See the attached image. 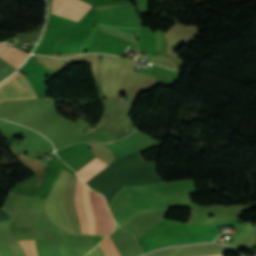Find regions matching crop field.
I'll use <instances>...</instances> for the list:
<instances>
[{
	"instance_id": "obj_1",
	"label": "crop field",
	"mask_w": 256,
	"mask_h": 256,
	"mask_svg": "<svg viewBox=\"0 0 256 256\" xmlns=\"http://www.w3.org/2000/svg\"><path fill=\"white\" fill-rule=\"evenodd\" d=\"M136 187L154 209L171 206L192 207L189 194L196 193L192 180ZM136 187H123L111 204L110 211L118 225L142 211L153 209ZM159 197L162 200H158Z\"/></svg>"
},
{
	"instance_id": "obj_2",
	"label": "crop field",
	"mask_w": 256,
	"mask_h": 256,
	"mask_svg": "<svg viewBox=\"0 0 256 256\" xmlns=\"http://www.w3.org/2000/svg\"><path fill=\"white\" fill-rule=\"evenodd\" d=\"M37 98L31 85L20 73H15L0 84V103Z\"/></svg>"
},
{
	"instance_id": "obj_3",
	"label": "crop field",
	"mask_w": 256,
	"mask_h": 256,
	"mask_svg": "<svg viewBox=\"0 0 256 256\" xmlns=\"http://www.w3.org/2000/svg\"><path fill=\"white\" fill-rule=\"evenodd\" d=\"M91 7L80 0H53L52 14L78 22Z\"/></svg>"
},
{
	"instance_id": "obj_4",
	"label": "crop field",
	"mask_w": 256,
	"mask_h": 256,
	"mask_svg": "<svg viewBox=\"0 0 256 256\" xmlns=\"http://www.w3.org/2000/svg\"><path fill=\"white\" fill-rule=\"evenodd\" d=\"M203 255H212V251L209 244L169 248V249H164L146 256H203ZM223 255L224 254L214 255V256H223Z\"/></svg>"
},
{
	"instance_id": "obj_5",
	"label": "crop field",
	"mask_w": 256,
	"mask_h": 256,
	"mask_svg": "<svg viewBox=\"0 0 256 256\" xmlns=\"http://www.w3.org/2000/svg\"><path fill=\"white\" fill-rule=\"evenodd\" d=\"M107 166L108 165L96 158L82 169L77 171L78 177L85 183Z\"/></svg>"
},
{
	"instance_id": "obj_6",
	"label": "crop field",
	"mask_w": 256,
	"mask_h": 256,
	"mask_svg": "<svg viewBox=\"0 0 256 256\" xmlns=\"http://www.w3.org/2000/svg\"><path fill=\"white\" fill-rule=\"evenodd\" d=\"M83 203L85 214L88 219V233L95 234V224L89 200V188L83 184Z\"/></svg>"
}]
</instances>
